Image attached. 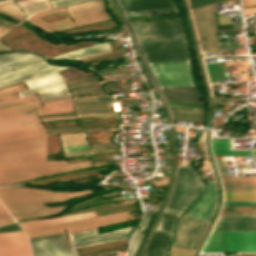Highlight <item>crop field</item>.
<instances>
[{
	"label": "crop field",
	"instance_id": "obj_16",
	"mask_svg": "<svg viewBox=\"0 0 256 256\" xmlns=\"http://www.w3.org/2000/svg\"><path fill=\"white\" fill-rule=\"evenodd\" d=\"M0 256H32L23 232L0 234Z\"/></svg>",
	"mask_w": 256,
	"mask_h": 256
},
{
	"label": "crop field",
	"instance_id": "obj_61",
	"mask_svg": "<svg viewBox=\"0 0 256 256\" xmlns=\"http://www.w3.org/2000/svg\"><path fill=\"white\" fill-rule=\"evenodd\" d=\"M240 256H256V253H240Z\"/></svg>",
	"mask_w": 256,
	"mask_h": 256
},
{
	"label": "crop field",
	"instance_id": "obj_45",
	"mask_svg": "<svg viewBox=\"0 0 256 256\" xmlns=\"http://www.w3.org/2000/svg\"><path fill=\"white\" fill-rule=\"evenodd\" d=\"M14 220L0 203V225L13 222Z\"/></svg>",
	"mask_w": 256,
	"mask_h": 256
},
{
	"label": "crop field",
	"instance_id": "obj_34",
	"mask_svg": "<svg viewBox=\"0 0 256 256\" xmlns=\"http://www.w3.org/2000/svg\"><path fill=\"white\" fill-rule=\"evenodd\" d=\"M173 120L204 123V114L170 110Z\"/></svg>",
	"mask_w": 256,
	"mask_h": 256
},
{
	"label": "crop field",
	"instance_id": "obj_49",
	"mask_svg": "<svg viewBox=\"0 0 256 256\" xmlns=\"http://www.w3.org/2000/svg\"><path fill=\"white\" fill-rule=\"evenodd\" d=\"M97 79H99V76L92 77V78L81 79V80H76V81H72V82H68V85L72 86V85H77V84L95 82V81H98Z\"/></svg>",
	"mask_w": 256,
	"mask_h": 256
},
{
	"label": "crop field",
	"instance_id": "obj_40",
	"mask_svg": "<svg viewBox=\"0 0 256 256\" xmlns=\"http://www.w3.org/2000/svg\"><path fill=\"white\" fill-rule=\"evenodd\" d=\"M224 200H256L254 193H224Z\"/></svg>",
	"mask_w": 256,
	"mask_h": 256
},
{
	"label": "crop field",
	"instance_id": "obj_7",
	"mask_svg": "<svg viewBox=\"0 0 256 256\" xmlns=\"http://www.w3.org/2000/svg\"><path fill=\"white\" fill-rule=\"evenodd\" d=\"M160 88L194 85L190 61L150 65Z\"/></svg>",
	"mask_w": 256,
	"mask_h": 256
},
{
	"label": "crop field",
	"instance_id": "obj_14",
	"mask_svg": "<svg viewBox=\"0 0 256 256\" xmlns=\"http://www.w3.org/2000/svg\"><path fill=\"white\" fill-rule=\"evenodd\" d=\"M67 67H53L46 65L45 61H41L32 65H28L10 72L0 74V87L33 77H37L46 73L60 70Z\"/></svg>",
	"mask_w": 256,
	"mask_h": 256
},
{
	"label": "crop field",
	"instance_id": "obj_33",
	"mask_svg": "<svg viewBox=\"0 0 256 256\" xmlns=\"http://www.w3.org/2000/svg\"><path fill=\"white\" fill-rule=\"evenodd\" d=\"M224 192H254L256 182H222Z\"/></svg>",
	"mask_w": 256,
	"mask_h": 256
},
{
	"label": "crop field",
	"instance_id": "obj_56",
	"mask_svg": "<svg viewBox=\"0 0 256 256\" xmlns=\"http://www.w3.org/2000/svg\"><path fill=\"white\" fill-rule=\"evenodd\" d=\"M244 6L256 5V0H243Z\"/></svg>",
	"mask_w": 256,
	"mask_h": 256
},
{
	"label": "crop field",
	"instance_id": "obj_27",
	"mask_svg": "<svg viewBox=\"0 0 256 256\" xmlns=\"http://www.w3.org/2000/svg\"><path fill=\"white\" fill-rule=\"evenodd\" d=\"M214 156L255 155L254 150L234 151L231 140L211 139Z\"/></svg>",
	"mask_w": 256,
	"mask_h": 256
},
{
	"label": "crop field",
	"instance_id": "obj_54",
	"mask_svg": "<svg viewBox=\"0 0 256 256\" xmlns=\"http://www.w3.org/2000/svg\"><path fill=\"white\" fill-rule=\"evenodd\" d=\"M68 98H71V96L67 95V96H62V97H58V98H54V99L44 100V101H42V103L49 102V101H55V100L68 99Z\"/></svg>",
	"mask_w": 256,
	"mask_h": 256
},
{
	"label": "crop field",
	"instance_id": "obj_32",
	"mask_svg": "<svg viewBox=\"0 0 256 256\" xmlns=\"http://www.w3.org/2000/svg\"><path fill=\"white\" fill-rule=\"evenodd\" d=\"M161 90H162V92L169 94V95L204 100L196 86L168 88V89H161Z\"/></svg>",
	"mask_w": 256,
	"mask_h": 256
},
{
	"label": "crop field",
	"instance_id": "obj_57",
	"mask_svg": "<svg viewBox=\"0 0 256 256\" xmlns=\"http://www.w3.org/2000/svg\"><path fill=\"white\" fill-rule=\"evenodd\" d=\"M90 89H94L93 86L81 87V88L73 89V90H71V91H72V92H75V91L90 90Z\"/></svg>",
	"mask_w": 256,
	"mask_h": 256
},
{
	"label": "crop field",
	"instance_id": "obj_35",
	"mask_svg": "<svg viewBox=\"0 0 256 256\" xmlns=\"http://www.w3.org/2000/svg\"><path fill=\"white\" fill-rule=\"evenodd\" d=\"M179 216L180 215H178V214H174V213L165 211L160 222H159L157 230H161V231L172 234L173 223H175V221L178 219Z\"/></svg>",
	"mask_w": 256,
	"mask_h": 256
},
{
	"label": "crop field",
	"instance_id": "obj_42",
	"mask_svg": "<svg viewBox=\"0 0 256 256\" xmlns=\"http://www.w3.org/2000/svg\"><path fill=\"white\" fill-rule=\"evenodd\" d=\"M223 207H256V201H224Z\"/></svg>",
	"mask_w": 256,
	"mask_h": 256
},
{
	"label": "crop field",
	"instance_id": "obj_20",
	"mask_svg": "<svg viewBox=\"0 0 256 256\" xmlns=\"http://www.w3.org/2000/svg\"><path fill=\"white\" fill-rule=\"evenodd\" d=\"M41 106L36 95L28 96L18 100L10 101L0 104V117L11 115L27 110H31L34 107Z\"/></svg>",
	"mask_w": 256,
	"mask_h": 256
},
{
	"label": "crop field",
	"instance_id": "obj_44",
	"mask_svg": "<svg viewBox=\"0 0 256 256\" xmlns=\"http://www.w3.org/2000/svg\"><path fill=\"white\" fill-rule=\"evenodd\" d=\"M166 101H170V102H178V103H186V104H194V105H202L205 106V102H201V101H193V100H186V99H180V98H175L172 96H166L164 95Z\"/></svg>",
	"mask_w": 256,
	"mask_h": 256
},
{
	"label": "crop field",
	"instance_id": "obj_24",
	"mask_svg": "<svg viewBox=\"0 0 256 256\" xmlns=\"http://www.w3.org/2000/svg\"><path fill=\"white\" fill-rule=\"evenodd\" d=\"M64 10H65V8L54 10V11L40 12V13H37V14L31 16L30 18H28V20L30 23L37 25L38 27H40L48 32L75 27L71 18L65 19L62 21H58V22H52V23H47L38 18L39 16H42V15H46V14L53 13V12L64 11Z\"/></svg>",
	"mask_w": 256,
	"mask_h": 256
},
{
	"label": "crop field",
	"instance_id": "obj_21",
	"mask_svg": "<svg viewBox=\"0 0 256 256\" xmlns=\"http://www.w3.org/2000/svg\"><path fill=\"white\" fill-rule=\"evenodd\" d=\"M124 11L176 7L172 0H119Z\"/></svg>",
	"mask_w": 256,
	"mask_h": 256
},
{
	"label": "crop field",
	"instance_id": "obj_29",
	"mask_svg": "<svg viewBox=\"0 0 256 256\" xmlns=\"http://www.w3.org/2000/svg\"><path fill=\"white\" fill-rule=\"evenodd\" d=\"M97 101L96 97L74 98V102ZM77 112H110L107 102L74 103Z\"/></svg>",
	"mask_w": 256,
	"mask_h": 256
},
{
	"label": "crop field",
	"instance_id": "obj_37",
	"mask_svg": "<svg viewBox=\"0 0 256 256\" xmlns=\"http://www.w3.org/2000/svg\"><path fill=\"white\" fill-rule=\"evenodd\" d=\"M26 89L25 86L21 83L6 89L0 90V103L12 99L18 98L16 93L17 91H21Z\"/></svg>",
	"mask_w": 256,
	"mask_h": 256
},
{
	"label": "crop field",
	"instance_id": "obj_63",
	"mask_svg": "<svg viewBox=\"0 0 256 256\" xmlns=\"http://www.w3.org/2000/svg\"><path fill=\"white\" fill-rule=\"evenodd\" d=\"M64 12H66V11H64ZM64 12H59V13L49 14V15H46V16L55 15V14H60V13H64ZM46 16H42V17H46ZM42 17H40V18H42Z\"/></svg>",
	"mask_w": 256,
	"mask_h": 256
},
{
	"label": "crop field",
	"instance_id": "obj_39",
	"mask_svg": "<svg viewBox=\"0 0 256 256\" xmlns=\"http://www.w3.org/2000/svg\"><path fill=\"white\" fill-rule=\"evenodd\" d=\"M63 145L86 144L85 133L61 135Z\"/></svg>",
	"mask_w": 256,
	"mask_h": 256
},
{
	"label": "crop field",
	"instance_id": "obj_15",
	"mask_svg": "<svg viewBox=\"0 0 256 256\" xmlns=\"http://www.w3.org/2000/svg\"><path fill=\"white\" fill-rule=\"evenodd\" d=\"M216 201H217L216 183L207 181V185L203 194L197 200V202L187 211L185 215L209 221L215 209Z\"/></svg>",
	"mask_w": 256,
	"mask_h": 256
},
{
	"label": "crop field",
	"instance_id": "obj_17",
	"mask_svg": "<svg viewBox=\"0 0 256 256\" xmlns=\"http://www.w3.org/2000/svg\"><path fill=\"white\" fill-rule=\"evenodd\" d=\"M130 229H131V227L113 231V232L100 234V235H98L96 233V229H95V230H89V231L76 232L73 234H69V236H70V242L72 245V249H75V248H81V247L91 246V245L105 243V242L126 239V236H121V235L128 234ZM116 236H121V237L112 238V237H116ZM107 238H112V239H108V240H104V241H100V242H96V243H92V244H87V245L76 246V245H80V244H85V243H89V242L107 239ZM73 246H76V247H73Z\"/></svg>",
	"mask_w": 256,
	"mask_h": 256
},
{
	"label": "crop field",
	"instance_id": "obj_51",
	"mask_svg": "<svg viewBox=\"0 0 256 256\" xmlns=\"http://www.w3.org/2000/svg\"><path fill=\"white\" fill-rule=\"evenodd\" d=\"M222 181H256V177L249 178H221Z\"/></svg>",
	"mask_w": 256,
	"mask_h": 256
},
{
	"label": "crop field",
	"instance_id": "obj_19",
	"mask_svg": "<svg viewBox=\"0 0 256 256\" xmlns=\"http://www.w3.org/2000/svg\"><path fill=\"white\" fill-rule=\"evenodd\" d=\"M45 161L0 170V182L35 177Z\"/></svg>",
	"mask_w": 256,
	"mask_h": 256
},
{
	"label": "crop field",
	"instance_id": "obj_25",
	"mask_svg": "<svg viewBox=\"0 0 256 256\" xmlns=\"http://www.w3.org/2000/svg\"><path fill=\"white\" fill-rule=\"evenodd\" d=\"M93 216H96L94 211H90V212L66 215V216L53 218V219L22 221L19 223L23 227V229H27V228L39 227V226L50 225V224L82 219L87 217H93Z\"/></svg>",
	"mask_w": 256,
	"mask_h": 256
},
{
	"label": "crop field",
	"instance_id": "obj_41",
	"mask_svg": "<svg viewBox=\"0 0 256 256\" xmlns=\"http://www.w3.org/2000/svg\"><path fill=\"white\" fill-rule=\"evenodd\" d=\"M178 12L176 8L124 12L126 16Z\"/></svg>",
	"mask_w": 256,
	"mask_h": 256
},
{
	"label": "crop field",
	"instance_id": "obj_64",
	"mask_svg": "<svg viewBox=\"0 0 256 256\" xmlns=\"http://www.w3.org/2000/svg\"><path fill=\"white\" fill-rule=\"evenodd\" d=\"M0 50H8V49H6L4 46H2V45L0 44Z\"/></svg>",
	"mask_w": 256,
	"mask_h": 256
},
{
	"label": "crop field",
	"instance_id": "obj_1",
	"mask_svg": "<svg viewBox=\"0 0 256 256\" xmlns=\"http://www.w3.org/2000/svg\"><path fill=\"white\" fill-rule=\"evenodd\" d=\"M92 191L58 192L28 189L23 187L0 188V200L15 217L16 220L36 216H49L58 213L63 207L49 208L41 203L59 202L73 197L88 194Z\"/></svg>",
	"mask_w": 256,
	"mask_h": 256
},
{
	"label": "crop field",
	"instance_id": "obj_58",
	"mask_svg": "<svg viewBox=\"0 0 256 256\" xmlns=\"http://www.w3.org/2000/svg\"><path fill=\"white\" fill-rule=\"evenodd\" d=\"M83 153H92V150L80 151V152H69V153H65V155H71V154H83Z\"/></svg>",
	"mask_w": 256,
	"mask_h": 256
},
{
	"label": "crop field",
	"instance_id": "obj_18",
	"mask_svg": "<svg viewBox=\"0 0 256 256\" xmlns=\"http://www.w3.org/2000/svg\"><path fill=\"white\" fill-rule=\"evenodd\" d=\"M212 231H256V217H219Z\"/></svg>",
	"mask_w": 256,
	"mask_h": 256
},
{
	"label": "crop field",
	"instance_id": "obj_65",
	"mask_svg": "<svg viewBox=\"0 0 256 256\" xmlns=\"http://www.w3.org/2000/svg\"><path fill=\"white\" fill-rule=\"evenodd\" d=\"M15 1H17V0H15Z\"/></svg>",
	"mask_w": 256,
	"mask_h": 256
},
{
	"label": "crop field",
	"instance_id": "obj_48",
	"mask_svg": "<svg viewBox=\"0 0 256 256\" xmlns=\"http://www.w3.org/2000/svg\"><path fill=\"white\" fill-rule=\"evenodd\" d=\"M81 1H86V0H51L50 2L53 6L58 7V6L77 3Z\"/></svg>",
	"mask_w": 256,
	"mask_h": 256
},
{
	"label": "crop field",
	"instance_id": "obj_53",
	"mask_svg": "<svg viewBox=\"0 0 256 256\" xmlns=\"http://www.w3.org/2000/svg\"><path fill=\"white\" fill-rule=\"evenodd\" d=\"M133 202H135V199L124 200V201H120V202H114V203H112V205L116 206V205H122V204H129V203H133Z\"/></svg>",
	"mask_w": 256,
	"mask_h": 256
},
{
	"label": "crop field",
	"instance_id": "obj_10",
	"mask_svg": "<svg viewBox=\"0 0 256 256\" xmlns=\"http://www.w3.org/2000/svg\"><path fill=\"white\" fill-rule=\"evenodd\" d=\"M30 88L19 92V97L38 92L41 100L70 94L63 79L57 72L24 81Z\"/></svg>",
	"mask_w": 256,
	"mask_h": 256
},
{
	"label": "crop field",
	"instance_id": "obj_55",
	"mask_svg": "<svg viewBox=\"0 0 256 256\" xmlns=\"http://www.w3.org/2000/svg\"><path fill=\"white\" fill-rule=\"evenodd\" d=\"M222 210H256V208H222Z\"/></svg>",
	"mask_w": 256,
	"mask_h": 256
},
{
	"label": "crop field",
	"instance_id": "obj_43",
	"mask_svg": "<svg viewBox=\"0 0 256 256\" xmlns=\"http://www.w3.org/2000/svg\"><path fill=\"white\" fill-rule=\"evenodd\" d=\"M219 216H256V211H221Z\"/></svg>",
	"mask_w": 256,
	"mask_h": 256
},
{
	"label": "crop field",
	"instance_id": "obj_60",
	"mask_svg": "<svg viewBox=\"0 0 256 256\" xmlns=\"http://www.w3.org/2000/svg\"><path fill=\"white\" fill-rule=\"evenodd\" d=\"M96 92H102V91H101V89H97V90H91V91H85V92H77V93H73V94L96 93Z\"/></svg>",
	"mask_w": 256,
	"mask_h": 256
},
{
	"label": "crop field",
	"instance_id": "obj_23",
	"mask_svg": "<svg viewBox=\"0 0 256 256\" xmlns=\"http://www.w3.org/2000/svg\"><path fill=\"white\" fill-rule=\"evenodd\" d=\"M171 234L155 231L145 256H167Z\"/></svg>",
	"mask_w": 256,
	"mask_h": 256
},
{
	"label": "crop field",
	"instance_id": "obj_8",
	"mask_svg": "<svg viewBox=\"0 0 256 256\" xmlns=\"http://www.w3.org/2000/svg\"><path fill=\"white\" fill-rule=\"evenodd\" d=\"M139 45L148 63L190 60L186 40Z\"/></svg>",
	"mask_w": 256,
	"mask_h": 256
},
{
	"label": "crop field",
	"instance_id": "obj_6",
	"mask_svg": "<svg viewBox=\"0 0 256 256\" xmlns=\"http://www.w3.org/2000/svg\"><path fill=\"white\" fill-rule=\"evenodd\" d=\"M131 25L138 42L186 38L180 19Z\"/></svg>",
	"mask_w": 256,
	"mask_h": 256
},
{
	"label": "crop field",
	"instance_id": "obj_13",
	"mask_svg": "<svg viewBox=\"0 0 256 256\" xmlns=\"http://www.w3.org/2000/svg\"><path fill=\"white\" fill-rule=\"evenodd\" d=\"M76 26L109 19L103 0L83 2L68 7Z\"/></svg>",
	"mask_w": 256,
	"mask_h": 256
},
{
	"label": "crop field",
	"instance_id": "obj_36",
	"mask_svg": "<svg viewBox=\"0 0 256 256\" xmlns=\"http://www.w3.org/2000/svg\"><path fill=\"white\" fill-rule=\"evenodd\" d=\"M8 3H12V2L10 0L0 1V6L4 5V4H8ZM0 13L7 14V15L13 17L15 20H17L19 22L25 20L22 12L19 9H17L13 5V3L5 5V6H1L0 7Z\"/></svg>",
	"mask_w": 256,
	"mask_h": 256
},
{
	"label": "crop field",
	"instance_id": "obj_59",
	"mask_svg": "<svg viewBox=\"0 0 256 256\" xmlns=\"http://www.w3.org/2000/svg\"><path fill=\"white\" fill-rule=\"evenodd\" d=\"M101 82H95V83H90V84H84V85H77V86H72L70 87L71 89L81 87V86H88V85H99Z\"/></svg>",
	"mask_w": 256,
	"mask_h": 256
},
{
	"label": "crop field",
	"instance_id": "obj_3",
	"mask_svg": "<svg viewBox=\"0 0 256 256\" xmlns=\"http://www.w3.org/2000/svg\"><path fill=\"white\" fill-rule=\"evenodd\" d=\"M203 185L191 167H178L166 209L182 213L201 193Z\"/></svg>",
	"mask_w": 256,
	"mask_h": 256
},
{
	"label": "crop field",
	"instance_id": "obj_31",
	"mask_svg": "<svg viewBox=\"0 0 256 256\" xmlns=\"http://www.w3.org/2000/svg\"><path fill=\"white\" fill-rule=\"evenodd\" d=\"M38 115L58 113V112H72L73 105L71 99L45 103L44 108L36 109Z\"/></svg>",
	"mask_w": 256,
	"mask_h": 256
},
{
	"label": "crop field",
	"instance_id": "obj_2",
	"mask_svg": "<svg viewBox=\"0 0 256 256\" xmlns=\"http://www.w3.org/2000/svg\"><path fill=\"white\" fill-rule=\"evenodd\" d=\"M45 147V132L1 141L0 169L43 161L45 160Z\"/></svg>",
	"mask_w": 256,
	"mask_h": 256
},
{
	"label": "crop field",
	"instance_id": "obj_30",
	"mask_svg": "<svg viewBox=\"0 0 256 256\" xmlns=\"http://www.w3.org/2000/svg\"><path fill=\"white\" fill-rule=\"evenodd\" d=\"M156 211L146 212V221L142 227L134 234L129 250V256H135L142 240L145 237V233L155 215Z\"/></svg>",
	"mask_w": 256,
	"mask_h": 256
},
{
	"label": "crop field",
	"instance_id": "obj_9",
	"mask_svg": "<svg viewBox=\"0 0 256 256\" xmlns=\"http://www.w3.org/2000/svg\"><path fill=\"white\" fill-rule=\"evenodd\" d=\"M42 131L34 110L0 118V141Z\"/></svg>",
	"mask_w": 256,
	"mask_h": 256
},
{
	"label": "crop field",
	"instance_id": "obj_28",
	"mask_svg": "<svg viewBox=\"0 0 256 256\" xmlns=\"http://www.w3.org/2000/svg\"><path fill=\"white\" fill-rule=\"evenodd\" d=\"M109 50H111V49H110L108 43L106 42V43H102V44H98V45H94V46H90V47L73 50L68 53L56 56L52 59L70 58V59L77 60L80 58H84V57H87L90 55H94V54L109 51Z\"/></svg>",
	"mask_w": 256,
	"mask_h": 256
},
{
	"label": "crop field",
	"instance_id": "obj_38",
	"mask_svg": "<svg viewBox=\"0 0 256 256\" xmlns=\"http://www.w3.org/2000/svg\"><path fill=\"white\" fill-rule=\"evenodd\" d=\"M38 1H41V0H22V1H18L17 3H18L20 6H23V5L35 3V2H38ZM45 1H47V0H45ZM45 1H41V2H45ZM41 2H38V3H41ZM35 4H37V3H35ZM31 5H33V4H31ZM47 5H48V3L45 2V3L33 5V6L27 5V6H29V7H25V6H23V7H25V8H24L25 10H27V9H32V8H37V7L47 6ZM46 9H49V6H47V7H42V8H37V9H32V10H27V11H25V12H26L27 16H30V15H31L32 13H34V12L41 11V10H46Z\"/></svg>",
	"mask_w": 256,
	"mask_h": 256
},
{
	"label": "crop field",
	"instance_id": "obj_11",
	"mask_svg": "<svg viewBox=\"0 0 256 256\" xmlns=\"http://www.w3.org/2000/svg\"><path fill=\"white\" fill-rule=\"evenodd\" d=\"M207 222L183 216L176 224L173 246L195 251Z\"/></svg>",
	"mask_w": 256,
	"mask_h": 256
},
{
	"label": "crop field",
	"instance_id": "obj_52",
	"mask_svg": "<svg viewBox=\"0 0 256 256\" xmlns=\"http://www.w3.org/2000/svg\"><path fill=\"white\" fill-rule=\"evenodd\" d=\"M214 1H219V0H190L191 7L201 5V4H206Z\"/></svg>",
	"mask_w": 256,
	"mask_h": 256
},
{
	"label": "crop field",
	"instance_id": "obj_26",
	"mask_svg": "<svg viewBox=\"0 0 256 256\" xmlns=\"http://www.w3.org/2000/svg\"><path fill=\"white\" fill-rule=\"evenodd\" d=\"M89 166V161L70 164H68L66 161H49L42 169V171L38 174V176L60 173Z\"/></svg>",
	"mask_w": 256,
	"mask_h": 256
},
{
	"label": "crop field",
	"instance_id": "obj_4",
	"mask_svg": "<svg viewBox=\"0 0 256 256\" xmlns=\"http://www.w3.org/2000/svg\"><path fill=\"white\" fill-rule=\"evenodd\" d=\"M256 251V232H211L201 252Z\"/></svg>",
	"mask_w": 256,
	"mask_h": 256
},
{
	"label": "crop field",
	"instance_id": "obj_5",
	"mask_svg": "<svg viewBox=\"0 0 256 256\" xmlns=\"http://www.w3.org/2000/svg\"><path fill=\"white\" fill-rule=\"evenodd\" d=\"M125 220H127L126 212L107 215V216L82 219V220H77V221H72V222H67V223L42 227V228L27 229L24 231L26 232L28 238L61 233V232H64V229H66L67 234H69L76 231L121 223V222H125Z\"/></svg>",
	"mask_w": 256,
	"mask_h": 256
},
{
	"label": "crop field",
	"instance_id": "obj_22",
	"mask_svg": "<svg viewBox=\"0 0 256 256\" xmlns=\"http://www.w3.org/2000/svg\"><path fill=\"white\" fill-rule=\"evenodd\" d=\"M42 58L37 55H30L24 53H12L0 56V72L10 70L25 64H29Z\"/></svg>",
	"mask_w": 256,
	"mask_h": 256
},
{
	"label": "crop field",
	"instance_id": "obj_50",
	"mask_svg": "<svg viewBox=\"0 0 256 256\" xmlns=\"http://www.w3.org/2000/svg\"><path fill=\"white\" fill-rule=\"evenodd\" d=\"M14 24L0 20V35L10 29Z\"/></svg>",
	"mask_w": 256,
	"mask_h": 256
},
{
	"label": "crop field",
	"instance_id": "obj_47",
	"mask_svg": "<svg viewBox=\"0 0 256 256\" xmlns=\"http://www.w3.org/2000/svg\"><path fill=\"white\" fill-rule=\"evenodd\" d=\"M193 251L171 247L170 256H192Z\"/></svg>",
	"mask_w": 256,
	"mask_h": 256
},
{
	"label": "crop field",
	"instance_id": "obj_62",
	"mask_svg": "<svg viewBox=\"0 0 256 256\" xmlns=\"http://www.w3.org/2000/svg\"><path fill=\"white\" fill-rule=\"evenodd\" d=\"M78 130H84V129H74V130H66V131H78ZM58 132H65V131H58ZM50 133H56V132H50ZM50 133H47V134H50Z\"/></svg>",
	"mask_w": 256,
	"mask_h": 256
},
{
	"label": "crop field",
	"instance_id": "obj_46",
	"mask_svg": "<svg viewBox=\"0 0 256 256\" xmlns=\"http://www.w3.org/2000/svg\"><path fill=\"white\" fill-rule=\"evenodd\" d=\"M78 118L81 117H119L118 113H82L77 114Z\"/></svg>",
	"mask_w": 256,
	"mask_h": 256
},
{
	"label": "crop field",
	"instance_id": "obj_12",
	"mask_svg": "<svg viewBox=\"0 0 256 256\" xmlns=\"http://www.w3.org/2000/svg\"><path fill=\"white\" fill-rule=\"evenodd\" d=\"M34 256H77L69 251L64 233L29 239Z\"/></svg>",
	"mask_w": 256,
	"mask_h": 256
}]
</instances>
